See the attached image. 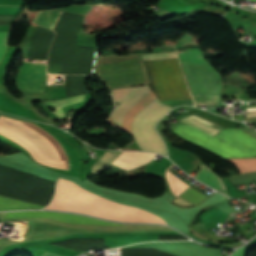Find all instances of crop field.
Returning a JSON list of instances; mask_svg holds the SVG:
<instances>
[{
  "instance_id": "obj_9",
  "label": "crop field",
  "mask_w": 256,
  "mask_h": 256,
  "mask_svg": "<svg viewBox=\"0 0 256 256\" xmlns=\"http://www.w3.org/2000/svg\"><path fill=\"white\" fill-rule=\"evenodd\" d=\"M154 153H138L123 151L112 164L118 165L125 169H131L143 163L152 161Z\"/></svg>"
},
{
  "instance_id": "obj_6",
  "label": "crop field",
  "mask_w": 256,
  "mask_h": 256,
  "mask_svg": "<svg viewBox=\"0 0 256 256\" xmlns=\"http://www.w3.org/2000/svg\"><path fill=\"white\" fill-rule=\"evenodd\" d=\"M16 79V88L22 91L42 92L46 83V64L25 63Z\"/></svg>"
},
{
  "instance_id": "obj_17",
  "label": "crop field",
  "mask_w": 256,
  "mask_h": 256,
  "mask_svg": "<svg viewBox=\"0 0 256 256\" xmlns=\"http://www.w3.org/2000/svg\"><path fill=\"white\" fill-rule=\"evenodd\" d=\"M9 35H0V59L7 49Z\"/></svg>"
},
{
  "instance_id": "obj_3",
  "label": "crop field",
  "mask_w": 256,
  "mask_h": 256,
  "mask_svg": "<svg viewBox=\"0 0 256 256\" xmlns=\"http://www.w3.org/2000/svg\"><path fill=\"white\" fill-rule=\"evenodd\" d=\"M213 135L222 127L195 115L182 119ZM178 122L170 130L178 137L197 144L222 158L256 157V134L248 128H223L213 136L185 122Z\"/></svg>"
},
{
  "instance_id": "obj_5",
  "label": "crop field",
  "mask_w": 256,
  "mask_h": 256,
  "mask_svg": "<svg viewBox=\"0 0 256 256\" xmlns=\"http://www.w3.org/2000/svg\"><path fill=\"white\" fill-rule=\"evenodd\" d=\"M180 57L193 94H221L222 81L201 49L184 50Z\"/></svg>"
},
{
  "instance_id": "obj_15",
  "label": "crop field",
  "mask_w": 256,
  "mask_h": 256,
  "mask_svg": "<svg viewBox=\"0 0 256 256\" xmlns=\"http://www.w3.org/2000/svg\"><path fill=\"white\" fill-rule=\"evenodd\" d=\"M121 151H107L97 162L93 164L91 174H99V172L107 166Z\"/></svg>"
},
{
  "instance_id": "obj_8",
  "label": "crop field",
  "mask_w": 256,
  "mask_h": 256,
  "mask_svg": "<svg viewBox=\"0 0 256 256\" xmlns=\"http://www.w3.org/2000/svg\"><path fill=\"white\" fill-rule=\"evenodd\" d=\"M168 156L188 174H190L200 165L203 164V162L198 158V156L193 155L187 151H183L172 147L169 151Z\"/></svg>"
},
{
  "instance_id": "obj_20",
  "label": "crop field",
  "mask_w": 256,
  "mask_h": 256,
  "mask_svg": "<svg viewBox=\"0 0 256 256\" xmlns=\"http://www.w3.org/2000/svg\"><path fill=\"white\" fill-rule=\"evenodd\" d=\"M245 116H256V113L245 114Z\"/></svg>"
},
{
  "instance_id": "obj_12",
  "label": "crop field",
  "mask_w": 256,
  "mask_h": 256,
  "mask_svg": "<svg viewBox=\"0 0 256 256\" xmlns=\"http://www.w3.org/2000/svg\"><path fill=\"white\" fill-rule=\"evenodd\" d=\"M42 207L43 206L0 197V210L23 209V208H42Z\"/></svg>"
},
{
  "instance_id": "obj_16",
  "label": "crop field",
  "mask_w": 256,
  "mask_h": 256,
  "mask_svg": "<svg viewBox=\"0 0 256 256\" xmlns=\"http://www.w3.org/2000/svg\"><path fill=\"white\" fill-rule=\"evenodd\" d=\"M179 197L183 198L184 200L196 205L197 203L203 201L208 196L204 195L203 193L193 189L188 188L184 192H182Z\"/></svg>"
},
{
  "instance_id": "obj_13",
  "label": "crop field",
  "mask_w": 256,
  "mask_h": 256,
  "mask_svg": "<svg viewBox=\"0 0 256 256\" xmlns=\"http://www.w3.org/2000/svg\"><path fill=\"white\" fill-rule=\"evenodd\" d=\"M174 165L169 166L168 168ZM167 168V169H168ZM166 169V179L168 184L175 195H179L182 191H184L187 187H189L185 182L179 179L177 176L172 174L170 171Z\"/></svg>"
},
{
  "instance_id": "obj_1",
  "label": "crop field",
  "mask_w": 256,
  "mask_h": 256,
  "mask_svg": "<svg viewBox=\"0 0 256 256\" xmlns=\"http://www.w3.org/2000/svg\"><path fill=\"white\" fill-rule=\"evenodd\" d=\"M130 88L111 90L114 102ZM155 97L149 86L131 88L116 102L121 103L111 114L109 121L131 134V122L135 113ZM172 107L154 98L140 111L132 122V134L141 150L155 151L166 155L165 147L154 129V124Z\"/></svg>"
},
{
  "instance_id": "obj_14",
  "label": "crop field",
  "mask_w": 256,
  "mask_h": 256,
  "mask_svg": "<svg viewBox=\"0 0 256 256\" xmlns=\"http://www.w3.org/2000/svg\"><path fill=\"white\" fill-rule=\"evenodd\" d=\"M84 95L80 97L68 98L60 101L47 102L46 105L56 108L57 110L53 111L56 116L61 119L64 117V112L61 107L71 105L80 101H83Z\"/></svg>"
},
{
  "instance_id": "obj_18",
  "label": "crop field",
  "mask_w": 256,
  "mask_h": 256,
  "mask_svg": "<svg viewBox=\"0 0 256 256\" xmlns=\"http://www.w3.org/2000/svg\"><path fill=\"white\" fill-rule=\"evenodd\" d=\"M172 203L176 204V205H180V206H193L191 204H189L188 202L184 201L181 198H177L175 201H173Z\"/></svg>"
},
{
  "instance_id": "obj_19",
  "label": "crop field",
  "mask_w": 256,
  "mask_h": 256,
  "mask_svg": "<svg viewBox=\"0 0 256 256\" xmlns=\"http://www.w3.org/2000/svg\"><path fill=\"white\" fill-rule=\"evenodd\" d=\"M43 256H58V255H55V254H51V253H45Z\"/></svg>"
},
{
  "instance_id": "obj_2",
  "label": "crop field",
  "mask_w": 256,
  "mask_h": 256,
  "mask_svg": "<svg viewBox=\"0 0 256 256\" xmlns=\"http://www.w3.org/2000/svg\"><path fill=\"white\" fill-rule=\"evenodd\" d=\"M176 52H162V53H142V57L144 60H153V59H163V58H173ZM140 54H132V55H124L117 57V55L98 57L97 67H96V75L110 88H123V87H131V86H139V85H147L150 84L145 67L142 61ZM142 72H141L140 66ZM123 58H132V59H123ZM114 59H123V60H114ZM105 60H114V61H105ZM100 61L101 62L111 83H124V82H133V81H141V82H133V83H124V84H116L111 85ZM160 66L163 78L165 80L168 92L171 98H184L190 97L185 86L184 80L182 78L181 72L178 67L177 59H163L157 60Z\"/></svg>"
},
{
  "instance_id": "obj_21",
  "label": "crop field",
  "mask_w": 256,
  "mask_h": 256,
  "mask_svg": "<svg viewBox=\"0 0 256 256\" xmlns=\"http://www.w3.org/2000/svg\"><path fill=\"white\" fill-rule=\"evenodd\" d=\"M253 1H256V0H253Z\"/></svg>"
},
{
  "instance_id": "obj_10",
  "label": "crop field",
  "mask_w": 256,
  "mask_h": 256,
  "mask_svg": "<svg viewBox=\"0 0 256 256\" xmlns=\"http://www.w3.org/2000/svg\"><path fill=\"white\" fill-rule=\"evenodd\" d=\"M196 179L199 181L207 184L208 186L216 189L217 191L228 195L227 189L222 181L218 176H216L208 167L205 165L201 166Z\"/></svg>"
},
{
  "instance_id": "obj_4",
  "label": "crop field",
  "mask_w": 256,
  "mask_h": 256,
  "mask_svg": "<svg viewBox=\"0 0 256 256\" xmlns=\"http://www.w3.org/2000/svg\"><path fill=\"white\" fill-rule=\"evenodd\" d=\"M57 186L65 190L71 191L88 199L94 200L101 204L116 208L118 210L130 213L136 217H139L148 222L154 223H165L161 218L137 208L128 207L108 199L102 198L91 192H88L76 184L64 180L59 177ZM56 187V193L53 197L52 202L44 209H60L65 211L81 212L97 216L100 218L120 220V221H130V222H145L139 218H136L130 214L115 210L113 208L101 205L94 201L88 200L71 192L65 191Z\"/></svg>"
},
{
  "instance_id": "obj_11",
  "label": "crop field",
  "mask_w": 256,
  "mask_h": 256,
  "mask_svg": "<svg viewBox=\"0 0 256 256\" xmlns=\"http://www.w3.org/2000/svg\"><path fill=\"white\" fill-rule=\"evenodd\" d=\"M61 12L59 11H42L38 12L35 20L33 21L35 24H39L50 29H53L59 15Z\"/></svg>"
},
{
  "instance_id": "obj_7",
  "label": "crop field",
  "mask_w": 256,
  "mask_h": 256,
  "mask_svg": "<svg viewBox=\"0 0 256 256\" xmlns=\"http://www.w3.org/2000/svg\"><path fill=\"white\" fill-rule=\"evenodd\" d=\"M4 217H52L58 221L67 223H92L100 225H122L119 223H111L101 221L81 215L61 213V212H43V211H23V212H9L4 213Z\"/></svg>"
}]
</instances>
